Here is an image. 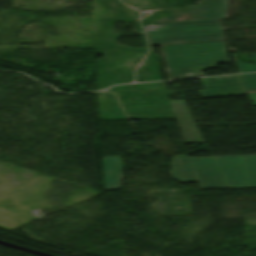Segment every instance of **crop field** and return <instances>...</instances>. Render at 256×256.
I'll use <instances>...</instances> for the list:
<instances>
[{"instance_id":"8","label":"crop field","mask_w":256,"mask_h":256,"mask_svg":"<svg viewBox=\"0 0 256 256\" xmlns=\"http://www.w3.org/2000/svg\"><path fill=\"white\" fill-rule=\"evenodd\" d=\"M123 164L118 157L103 158L105 190L121 187Z\"/></svg>"},{"instance_id":"10","label":"crop field","mask_w":256,"mask_h":256,"mask_svg":"<svg viewBox=\"0 0 256 256\" xmlns=\"http://www.w3.org/2000/svg\"><path fill=\"white\" fill-rule=\"evenodd\" d=\"M254 59L256 60V54H253ZM237 61V60H236ZM242 73L244 72H251V71H256V64L255 65H247V64H243L239 61H237Z\"/></svg>"},{"instance_id":"11","label":"crop field","mask_w":256,"mask_h":256,"mask_svg":"<svg viewBox=\"0 0 256 256\" xmlns=\"http://www.w3.org/2000/svg\"><path fill=\"white\" fill-rule=\"evenodd\" d=\"M251 100L256 104V93L254 94H249Z\"/></svg>"},{"instance_id":"7","label":"crop field","mask_w":256,"mask_h":256,"mask_svg":"<svg viewBox=\"0 0 256 256\" xmlns=\"http://www.w3.org/2000/svg\"><path fill=\"white\" fill-rule=\"evenodd\" d=\"M230 0H200L192 8L190 21L227 18Z\"/></svg>"},{"instance_id":"6","label":"crop field","mask_w":256,"mask_h":256,"mask_svg":"<svg viewBox=\"0 0 256 256\" xmlns=\"http://www.w3.org/2000/svg\"><path fill=\"white\" fill-rule=\"evenodd\" d=\"M184 143L204 142L184 101H170Z\"/></svg>"},{"instance_id":"4","label":"crop field","mask_w":256,"mask_h":256,"mask_svg":"<svg viewBox=\"0 0 256 256\" xmlns=\"http://www.w3.org/2000/svg\"><path fill=\"white\" fill-rule=\"evenodd\" d=\"M214 159L229 188L256 187V155Z\"/></svg>"},{"instance_id":"2","label":"crop field","mask_w":256,"mask_h":256,"mask_svg":"<svg viewBox=\"0 0 256 256\" xmlns=\"http://www.w3.org/2000/svg\"><path fill=\"white\" fill-rule=\"evenodd\" d=\"M143 27L152 45L224 39L220 19Z\"/></svg>"},{"instance_id":"9","label":"crop field","mask_w":256,"mask_h":256,"mask_svg":"<svg viewBox=\"0 0 256 256\" xmlns=\"http://www.w3.org/2000/svg\"><path fill=\"white\" fill-rule=\"evenodd\" d=\"M247 91H256V74L240 75Z\"/></svg>"},{"instance_id":"3","label":"crop field","mask_w":256,"mask_h":256,"mask_svg":"<svg viewBox=\"0 0 256 256\" xmlns=\"http://www.w3.org/2000/svg\"><path fill=\"white\" fill-rule=\"evenodd\" d=\"M172 178L181 182H198L201 189L227 188L212 158L176 157Z\"/></svg>"},{"instance_id":"5","label":"crop field","mask_w":256,"mask_h":256,"mask_svg":"<svg viewBox=\"0 0 256 256\" xmlns=\"http://www.w3.org/2000/svg\"><path fill=\"white\" fill-rule=\"evenodd\" d=\"M200 81L205 89L200 91L202 97L246 93L239 75L205 78Z\"/></svg>"},{"instance_id":"1","label":"crop field","mask_w":256,"mask_h":256,"mask_svg":"<svg viewBox=\"0 0 256 256\" xmlns=\"http://www.w3.org/2000/svg\"><path fill=\"white\" fill-rule=\"evenodd\" d=\"M163 48L170 79L203 75L202 71L207 68L229 63L224 41L168 45Z\"/></svg>"},{"instance_id":"12","label":"crop field","mask_w":256,"mask_h":256,"mask_svg":"<svg viewBox=\"0 0 256 256\" xmlns=\"http://www.w3.org/2000/svg\"><path fill=\"white\" fill-rule=\"evenodd\" d=\"M254 106H256V105H254Z\"/></svg>"}]
</instances>
